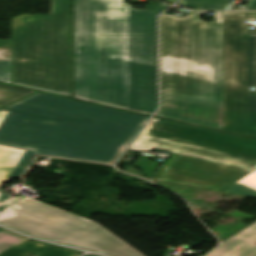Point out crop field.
<instances>
[{
	"mask_svg": "<svg viewBox=\"0 0 256 256\" xmlns=\"http://www.w3.org/2000/svg\"><path fill=\"white\" fill-rule=\"evenodd\" d=\"M124 0H74L75 97L152 114L157 110V15Z\"/></svg>",
	"mask_w": 256,
	"mask_h": 256,
	"instance_id": "1",
	"label": "crop field"
},
{
	"mask_svg": "<svg viewBox=\"0 0 256 256\" xmlns=\"http://www.w3.org/2000/svg\"><path fill=\"white\" fill-rule=\"evenodd\" d=\"M149 117L31 95L0 110V186L38 155L113 164ZM0 189V202L10 198Z\"/></svg>",
	"mask_w": 256,
	"mask_h": 256,
	"instance_id": "2",
	"label": "crop field"
},
{
	"mask_svg": "<svg viewBox=\"0 0 256 256\" xmlns=\"http://www.w3.org/2000/svg\"><path fill=\"white\" fill-rule=\"evenodd\" d=\"M160 17L161 110L158 116L223 130V12Z\"/></svg>",
	"mask_w": 256,
	"mask_h": 256,
	"instance_id": "3",
	"label": "crop field"
},
{
	"mask_svg": "<svg viewBox=\"0 0 256 256\" xmlns=\"http://www.w3.org/2000/svg\"><path fill=\"white\" fill-rule=\"evenodd\" d=\"M130 149L174 153L160 181L219 192L256 169V140L156 118Z\"/></svg>",
	"mask_w": 256,
	"mask_h": 256,
	"instance_id": "4",
	"label": "crop field"
},
{
	"mask_svg": "<svg viewBox=\"0 0 256 256\" xmlns=\"http://www.w3.org/2000/svg\"><path fill=\"white\" fill-rule=\"evenodd\" d=\"M69 0H50L51 15L12 19L13 84L71 97Z\"/></svg>",
	"mask_w": 256,
	"mask_h": 256,
	"instance_id": "5",
	"label": "crop field"
},
{
	"mask_svg": "<svg viewBox=\"0 0 256 256\" xmlns=\"http://www.w3.org/2000/svg\"><path fill=\"white\" fill-rule=\"evenodd\" d=\"M0 223L29 235L111 256H144L103 226L29 197L4 204Z\"/></svg>",
	"mask_w": 256,
	"mask_h": 256,
	"instance_id": "6",
	"label": "crop field"
},
{
	"mask_svg": "<svg viewBox=\"0 0 256 256\" xmlns=\"http://www.w3.org/2000/svg\"><path fill=\"white\" fill-rule=\"evenodd\" d=\"M245 20L256 12H224V130L253 136L256 133L255 38H249Z\"/></svg>",
	"mask_w": 256,
	"mask_h": 256,
	"instance_id": "7",
	"label": "crop field"
},
{
	"mask_svg": "<svg viewBox=\"0 0 256 256\" xmlns=\"http://www.w3.org/2000/svg\"><path fill=\"white\" fill-rule=\"evenodd\" d=\"M256 224L233 237L207 256H256Z\"/></svg>",
	"mask_w": 256,
	"mask_h": 256,
	"instance_id": "8",
	"label": "crop field"
},
{
	"mask_svg": "<svg viewBox=\"0 0 256 256\" xmlns=\"http://www.w3.org/2000/svg\"><path fill=\"white\" fill-rule=\"evenodd\" d=\"M83 253L25 240L0 256H79Z\"/></svg>",
	"mask_w": 256,
	"mask_h": 256,
	"instance_id": "9",
	"label": "crop field"
},
{
	"mask_svg": "<svg viewBox=\"0 0 256 256\" xmlns=\"http://www.w3.org/2000/svg\"><path fill=\"white\" fill-rule=\"evenodd\" d=\"M0 81L12 84L10 40H0Z\"/></svg>",
	"mask_w": 256,
	"mask_h": 256,
	"instance_id": "10",
	"label": "crop field"
},
{
	"mask_svg": "<svg viewBox=\"0 0 256 256\" xmlns=\"http://www.w3.org/2000/svg\"><path fill=\"white\" fill-rule=\"evenodd\" d=\"M225 193L256 197V170L224 191Z\"/></svg>",
	"mask_w": 256,
	"mask_h": 256,
	"instance_id": "11",
	"label": "crop field"
},
{
	"mask_svg": "<svg viewBox=\"0 0 256 256\" xmlns=\"http://www.w3.org/2000/svg\"><path fill=\"white\" fill-rule=\"evenodd\" d=\"M232 0H182L178 5L194 10H224Z\"/></svg>",
	"mask_w": 256,
	"mask_h": 256,
	"instance_id": "12",
	"label": "crop field"
},
{
	"mask_svg": "<svg viewBox=\"0 0 256 256\" xmlns=\"http://www.w3.org/2000/svg\"><path fill=\"white\" fill-rule=\"evenodd\" d=\"M32 92L33 91L0 84V105L6 106Z\"/></svg>",
	"mask_w": 256,
	"mask_h": 256,
	"instance_id": "13",
	"label": "crop field"
},
{
	"mask_svg": "<svg viewBox=\"0 0 256 256\" xmlns=\"http://www.w3.org/2000/svg\"><path fill=\"white\" fill-rule=\"evenodd\" d=\"M24 239L14 236L6 231L0 232V253L23 241Z\"/></svg>",
	"mask_w": 256,
	"mask_h": 256,
	"instance_id": "14",
	"label": "crop field"
},
{
	"mask_svg": "<svg viewBox=\"0 0 256 256\" xmlns=\"http://www.w3.org/2000/svg\"><path fill=\"white\" fill-rule=\"evenodd\" d=\"M248 2L244 5L241 10H246L254 0H247Z\"/></svg>",
	"mask_w": 256,
	"mask_h": 256,
	"instance_id": "15",
	"label": "crop field"
},
{
	"mask_svg": "<svg viewBox=\"0 0 256 256\" xmlns=\"http://www.w3.org/2000/svg\"><path fill=\"white\" fill-rule=\"evenodd\" d=\"M247 10H256V0L251 4Z\"/></svg>",
	"mask_w": 256,
	"mask_h": 256,
	"instance_id": "16",
	"label": "crop field"
},
{
	"mask_svg": "<svg viewBox=\"0 0 256 256\" xmlns=\"http://www.w3.org/2000/svg\"><path fill=\"white\" fill-rule=\"evenodd\" d=\"M250 37H256V33H250Z\"/></svg>",
	"mask_w": 256,
	"mask_h": 256,
	"instance_id": "17",
	"label": "crop field"
},
{
	"mask_svg": "<svg viewBox=\"0 0 256 256\" xmlns=\"http://www.w3.org/2000/svg\"><path fill=\"white\" fill-rule=\"evenodd\" d=\"M254 136L256 137V134Z\"/></svg>",
	"mask_w": 256,
	"mask_h": 256,
	"instance_id": "18",
	"label": "crop field"
},
{
	"mask_svg": "<svg viewBox=\"0 0 256 256\" xmlns=\"http://www.w3.org/2000/svg\"><path fill=\"white\" fill-rule=\"evenodd\" d=\"M0 107H3V106H0Z\"/></svg>",
	"mask_w": 256,
	"mask_h": 256,
	"instance_id": "19",
	"label": "crop field"
},
{
	"mask_svg": "<svg viewBox=\"0 0 256 256\" xmlns=\"http://www.w3.org/2000/svg\"><path fill=\"white\" fill-rule=\"evenodd\" d=\"M89 256H92V255H89Z\"/></svg>",
	"mask_w": 256,
	"mask_h": 256,
	"instance_id": "20",
	"label": "crop field"
}]
</instances>
